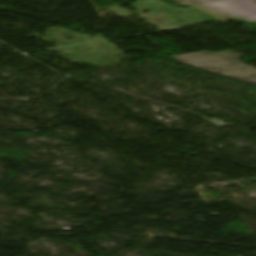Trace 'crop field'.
Listing matches in <instances>:
<instances>
[{
    "label": "crop field",
    "instance_id": "obj_1",
    "mask_svg": "<svg viewBox=\"0 0 256 256\" xmlns=\"http://www.w3.org/2000/svg\"><path fill=\"white\" fill-rule=\"evenodd\" d=\"M243 56L233 51L220 53L203 51L174 56V59L209 73L256 85V68L240 62L239 59Z\"/></svg>",
    "mask_w": 256,
    "mask_h": 256
},
{
    "label": "crop field",
    "instance_id": "obj_2",
    "mask_svg": "<svg viewBox=\"0 0 256 256\" xmlns=\"http://www.w3.org/2000/svg\"><path fill=\"white\" fill-rule=\"evenodd\" d=\"M202 4L249 22L256 20V0H220Z\"/></svg>",
    "mask_w": 256,
    "mask_h": 256
},
{
    "label": "crop field",
    "instance_id": "obj_3",
    "mask_svg": "<svg viewBox=\"0 0 256 256\" xmlns=\"http://www.w3.org/2000/svg\"><path fill=\"white\" fill-rule=\"evenodd\" d=\"M181 4H191V3H201V2H207V1H213V0H173ZM253 24H256V22H253Z\"/></svg>",
    "mask_w": 256,
    "mask_h": 256
}]
</instances>
